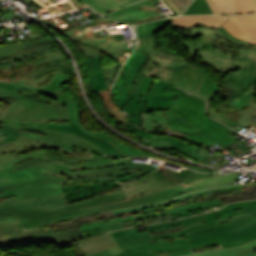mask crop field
Listing matches in <instances>:
<instances>
[{
	"label": "crop field",
	"instance_id": "48",
	"mask_svg": "<svg viewBox=\"0 0 256 256\" xmlns=\"http://www.w3.org/2000/svg\"><path fill=\"white\" fill-rule=\"evenodd\" d=\"M121 67H122V64H119V63H118L117 69H116V71H115V73H114V76H113V79H112L111 86L113 85L114 80H115V78H116L118 72L120 71Z\"/></svg>",
	"mask_w": 256,
	"mask_h": 256
},
{
	"label": "crop field",
	"instance_id": "42",
	"mask_svg": "<svg viewBox=\"0 0 256 256\" xmlns=\"http://www.w3.org/2000/svg\"><path fill=\"white\" fill-rule=\"evenodd\" d=\"M208 115L212 116L213 118L217 119L218 121L222 122L223 124L231 127L235 122L223 116L220 112H218L213 103H210Z\"/></svg>",
	"mask_w": 256,
	"mask_h": 256
},
{
	"label": "crop field",
	"instance_id": "35",
	"mask_svg": "<svg viewBox=\"0 0 256 256\" xmlns=\"http://www.w3.org/2000/svg\"><path fill=\"white\" fill-rule=\"evenodd\" d=\"M102 99H103V103L104 105L109 108L108 112L110 115L120 119L121 121L124 122H129V119L127 117V115L122 112L113 102V99L111 97V95L109 94V91L107 90H103V91H99L96 92Z\"/></svg>",
	"mask_w": 256,
	"mask_h": 256
},
{
	"label": "crop field",
	"instance_id": "41",
	"mask_svg": "<svg viewBox=\"0 0 256 256\" xmlns=\"http://www.w3.org/2000/svg\"><path fill=\"white\" fill-rule=\"evenodd\" d=\"M240 13L256 12V7L252 0H234Z\"/></svg>",
	"mask_w": 256,
	"mask_h": 256
},
{
	"label": "crop field",
	"instance_id": "13",
	"mask_svg": "<svg viewBox=\"0 0 256 256\" xmlns=\"http://www.w3.org/2000/svg\"><path fill=\"white\" fill-rule=\"evenodd\" d=\"M157 167V165L153 164L132 163V158H130L101 166L73 168L65 183L106 180L124 182L142 177L152 172Z\"/></svg>",
	"mask_w": 256,
	"mask_h": 256
},
{
	"label": "crop field",
	"instance_id": "26",
	"mask_svg": "<svg viewBox=\"0 0 256 256\" xmlns=\"http://www.w3.org/2000/svg\"><path fill=\"white\" fill-rule=\"evenodd\" d=\"M119 186L115 181L113 182H99V183H78V184H64L65 199H73L83 197L87 194L97 191L106 190L108 188Z\"/></svg>",
	"mask_w": 256,
	"mask_h": 256
},
{
	"label": "crop field",
	"instance_id": "36",
	"mask_svg": "<svg viewBox=\"0 0 256 256\" xmlns=\"http://www.w3.org/2000/svg\"><path fill=\"white\" fill-rule=\"evenodd\" d=\"M171 23V18L153 21L136 27L138 38H143Z\"/></svg>",
	"mask_w": 256,
	"mask_h": 256
},
{
	"label": "crop field",
	"instance_id": "44",
	"mask_svg": "<svg viewBox=\"0 0 256 256\" xmlns=\"http://www.w3.org/2000/svg\"><path fill=\"white\" fill-rule=\"evenodd\" d=\"M173 9L180 15L192 0H166ZM191 4V3H190Z\"/></svg>",
	"mask_w": 256,
	"mask_h": 256
},
{
	"label": "crop field",
	"instance_id": "8",
	"mask_svg": "<svg viewBox=\"0 0 256 256\" xmlns=\"http://www.w3.org/2000/svg\"><path fill=\"white\" fill-rule=\"evenodd\" d=\"M242 192V186H231V187H223L216 188L202 192L190 193L176 199L170 200L166 203L155 204V205H147L143 207L125 209L113 211V214L123 213L133 210L143 209L145 214L135 215V216H125L121 218H111L102 221H94L90 223L80 224L78 225L80 231L83 233L84 237L87 235L92 236L99 234V232L103 233L100 227L115 224V223H123L127 221L139 220L147 217H152L161 214H168L180 210H185L201 205H206L210 203L219 202L217 199L219 195H229V194H237Z\"/></svg>",
	"mask_w": 256,
	"mask_h": 256
},
{
	"label": "crop field",
	"instance_id": "25",
	"mask_svg": "<svg viewBox=\"0 0 256 256\" xmlns=\"http://www.w3.org/2000/svg\"><path fill=\"white\" fill-rule=\"evenodd\" d=\"M228 18V16H181L172 18L171 26L184 28L206 26L217 29Z\"/></svg>",
	"mask_w": 256,
	"mask_h": 256
},
{
	"label": "crop field",
	"instance_id": "39",
	"mask_svg": "<svg viewBox=\"0 0 256 256\" xmlns=\"http://www.w3.org/2000/svg\"><path fill=\"white\" fill-rule=\"evenodd\" d=\"M220 14H239L233 0H213Z\"/></svg>",
	"mask_w": 256,
	"mask_h": 256
},
{
	"label": "crop field",
	"instance_id": "32",
	"mask_svg": "<svg viewBox=\"0 0 256 256\" xmlns=\"http://www.w3.org/2000/svg\"><path fill=\"white\" fill-rule=\"evenodd\" d=\"M191 256H256V241L242 247L199 253Z\"/></svg>",
	"mask_w": 256,
	"mask_h": 256
},
{
	"label": "crop field",
	"instance_id": "38",
	"mask_svg": "<svg viewBox=\"0 0 256 256\" xmlns=\"http://www.w3.org/2000/svg\"><path fill=\"white\" fill-rule=\"evenodd\" d=\"M213 14L206 0H194L191 6L181 15Z\"/></svg>",
	"mask_w": 256,
	"mask_h": 256
},
{
	"label": "crop field",
	"instance_id": "17",
	"mask_svg": "<svg viewBox=\"0 0 256 256\" xmlns=\"http://www.w3.org/2000/svg\"><path fill=\"white\" fill-rule=\"evenodd\" d=\"M113 23V21L105 20V19H97L95 21L89 22L84 24L80 27L67 31L63 34L67 35L68 37L80 41L83 44H87L96 48H100L105 51L108 55L112 58L117 60L118 62H123L126 58L122 56L124 52V47L122 42L108 39V38H97L94 37V34L89 30L90 27L99 25V24H109Z\"/></svg>",
	"mask_w": 256,
	"mask_h": 256
},
{
	"label": "crop field",
	"instance_id": "20",
	"mask_svg": "<svg viewBox=\"0 0 256 256\" xmlns=\"http://www.w3.org/2000/svg\"><path fill=\"white\" fill-rule=\"evenodd\" d=\"M20 135L58 144L72 151L103 154V152L99 148H97L95 145L91 144L90 142L82 138H79L77 136H72L71 134H67V133L48 131L47 136H44V135L21 131Z\"/></svg>",
	"mask_w": 256,
	"mask_h": 256
},
{
	"label": "crop field",
	"instance_id": "49",
	"mask_svg": "<svg viewBox=\"0 0 256 256\" xmlns=\"http://www.w3.org/2000/svg\"><path fill=\"white\" fill-rule=\"evenodd\" d=\"M207 1L209 2L212 10L214 11V14H219L217 9H216V7H215V5H214V3H213V1L212 0H207Z\"/></svg>",
	"mask_w": 256,
	"mask_h": 256
},
{
	"label": "crop field",
	"instance_id": "53",
	"mask_svg": "<svg viewBox=\"0 0 256 256\" xmlns=\"http://www.w3.org/2000/svg\"><path fill=\"white\" fill-rule=\"evenodd\" d=\"M252 113H253L254 116L256 115V111H253Z\"/></svg>",
	"mask_w": 256,
	"mask_h": 256
},
{
	"label": "crop field",
	"instance_id": "6",
	"mask_svg": "<svg viewBox=\"0 0 256 256\" xmlns=\"http://www.w3.org/2000/svg\"><path fill=\"white\" fill-rule=\"evenodd\" d=\"M123 191L66 205L64 196L0 203V216L19 215L23 227L80 214V209L127 200Z\"/></svg>",
	"mask_w": 256,
	"mask_h": 256
},
{
	"label": "crop field",
	"instance_id": "10",
	"mask_svg": "<svg viewBox=\"0 0 256 256\" xmlns=\"http://www.w3.org/2000/svg\"><path fill=\"white\" fill-rule=\"evenodd\" d=\"M236 177L237 174H201L196 171H190L188 169L176 172L167 168L160 167L158 171L149 174L142 179L127 182L121 185L128 198L132 199L146 193L173 185L176 187L182 185L185 189L200 184Z\"/></svg>",
	"mask_w": 256,
	"mask_h": 256
},
{
	"label": "crop field",
	"instance_id": "40",
	"mask_svg": "<svg viewBox=\"0 0 256 256\" xmlns=\"http://www.w3.org/2000/svg\"><path fill=\"white\" fill-rule=\"evenodd\" d=\"M220 204H222V202L210 204V205H206V206H201V207H197V208H193V209H189V210H185V211L176 212V213H173L172 215H173L174 219L191 216V215H196V214H200V213L204 212L202 208L216 206V205H220Z\"/></svg>",
	"mask_w": 256,
	"mask_h": 256
},
{
	"label": "crop field",
	"instance_id": "50",
	"mask_svg": "<svg viewBox=\"0 0 256 256\" xmlns=\"http://www.w3.org/2000/svg\"><path fill=\"white\" fill-rule=\"evenodd\" d=\"M225 133H227V134H229V135H231V136H232V135H233V134H235L236 132H234V131H232V130H230V129H229V130H228V131H226Z\"/></svg>",
	"mask_w": 256,
	"mask_h": 256
},
{
	"label": "crop field",
	"instance_id": "28",
	"mask_svg": "<svg viewBox=\"0 0 256 256\" xmlns=\"http://www.w3.org/2000/svg\"><path fill=\"white\" fill-rule=\"evenodd\" d=\"M102 57H94L87 61L85 72L88 75V84L91 91L107 89L103 68L100 65Z\"/></svg>",
	"mask_w": 256,
	"mask_h": 256
},
{
	"label": "crop field",
	"instance_id": "16",
	"mask_svg": "<svg viewBox=\"0 0 256 256\" xmlns=\"http://www.w3.org/2000/svg\"><path fill=\"white\" fill-rule=\"evenodd\" d=\"M137 50L151 58L142 74L164 81L172 75L171 66L176 59L187 62L186 58L180 57L166 44L157 48L156 39L152 35L140 39Z\"/></svg>",
	"mask_w": 256,
	"mask_h": 256
},
{
	"label": "crop field",
	"instance_id": "19",
	"mask_svg": "<svg viewBox=\"0 0 256 256\" xmlns=\"http://www.w3.org/2000/svg\"><path fill=\"white\" fill-rule=\"evenodd\" d=\"M157 11L159 9L150 0H142L119 10L106 13L103 16L125 23L135 21L136 25H138L160 18Z\"/></svg>",
	"mask_w": 256,
	"mask_h": 256
},
{
	"label": "crop field",
	"instance_id": "51",
	"mask_svg": "<svg viewBox=\"0 0 256 256\" xmlns=\"http://www.w3.org/2000/svg\"><path fill=\"white\" fill-rule=\"evenodd\" d=\"M188 168H191V167H188ZM191 169L198 170V171L210 172V170H206V169H196V168H191Z\"/></svg>",
	"mask_w": 256,
	"mask_h": 256
},
{
	"label": "crop field",
	"instance_id": "31",
	"mask_svg": "<svg viewBox=\"0 0 256 256\" xmlns=\"http://www.w3.org/2000/svg\"><path fill=\"white\" fill-rule=\"evenodd\" d=\"M190 65L198 69L203 76V84L200 87V89L197 91L196 95H199L208 100H211L213 97L217 95L222 83H218L217 80L213 78L212 75L209 74L205 70V68L202 67L201 65H196L191 63Z\"/></svg>",
	"mask_w": 256,
	"mask_h": 256
},
{
	"label": "crop field",
	"instance_id": "30",
	"mask_svg": "<svg viewBox=\"0 0 256 256\" xmlns=\"http://www.w3.org/2000/svg\"><path fill=\"white\" fill-rule=\"evenodd\" d=\"M39 233H41L39 228L29 231H23L21 222L16 216L0 218V236L12 237Z\"/></svg>",
	"mask_w": 256,
	"mask_h": 256
},
{
	"label": "crop field",
	"instance_id": "46",
	"mask_svg": "<svg viewBox=\"0 0 256 256\" xmlns=\"http://www.w3.org/2000/svg\"><path fill=\"white\" fill-rule=\"evenodd\" d=\"M172 241H173V243H171L170 241L151 242V245H170V244H176V243L189 242L188 238L177 239V240H172Z\"/></svg>",
	"mask_w": 256,
	"mask_h": 256
},
{
	"label": "crop field",
	"instance_id": "12",
	"mask_svg": "<svg viewBox=\"0 0 256 256\" xmlns=\"http://www.w3.org/2000/svg\"><path fill=\"white\" fill-rule=\"evenodd\" d=\"M186 92L157 79L144 76L138 93L127 110L131 122L142 128L140 111L163 110L173 106L174 95Z\"/></svg>",
	"mask_w": 256,
	"mask_h": 256
},
{
	"label": "crop field",
	"instance_id": "54",
	"mask_svg": "<svg viewBox=\"0 0 256 256\" xmlns=\"http://www.w3.org/2000/svg\"><path fill=\"white\" fill-rule=\"evenodd\" d=\"M165 1V0H164ZM166 2V1H165ZM167 3V2H166ZM168 4V3H167ZM169 5V4H168ZM170 6V5H169ZM171 7V6H170ZM172 10V9H171ZM174 11V10H173ZM175 12V11H174ZM176 13V12H175ZM176 15H178L177 13H176Z\"/></svg>",
	"mask_w": 256,
	"mask_h": 256
},
{
	"label": "crop field",
	"instance_id": "27",
	"mask_svg": "<svg viewBox=\"0 0 256 256\" xmlns=\"http://www.w3.org/2000/svg\"><path fill=\"white\" fill-rule=\"evenodd\" d=\"M141 115L143 128L148 131L155 133H165L179 137L186 136L185 134L165 125L164 123L168 122V120L160 111H156V113L150 115L141 113Z\"/></svg>",
	"mask_w": 256,
	"mask_h": 256
},
{
	"label": "crop field",
	"instance_id": "55",
	"mask_svg": "<svg viewBox=\"0 0 256 256\" xmlns=\"http://www.w3.org/2000/svg\"><path fill=\"white\" fill-rule=\"evenodd\" d=\"M254 2H255V4H256V0H255Z\"/></svg>",
	"mask_w": 256,
	"mask_h": 256
},
{
	"label": "crop field",
	"instance_id": "1",
	"mask_svg": "<svg viewBox=\"0 0 256 256\" xmlns=\"http://www.w3.org/2000/svg\"><path fill=\"white\" fill-rule=\"evenodd\" d=\"M35 67L27 72L20 73V83L0 82V120L6 109L13 105L18 98L2 96L3 92L12 93L15 86L35 90L41 95H48L59 100L70 115V124L49 123L48 128L72 131L100 143L109 154L125 158L131 156H149L134 148L119 142L105 131L91 132L81 123V107L61 85L70 82L74 77L73 66L70 61L55 47L27 57ZM12 125H0V145L16 140L10 136ZM157 158V157H154ZM159 159V158H157Z\"/></svg>",
	"mask_w": 256,
	"mask_h": 256
},
{
	"label": "crop field",
	"instance_id": "18",
	"mask_svg": "<svg viewBox=\"0 0 256 256\" xmlns=\"http://www.w3.org/2000/svg\"><path fill=\"white\" fill-rule=\"evenodd\" d=\"M122 130L134 132V136H136L141 141H143L149 145L166 147L169 149H176V150L192 157L194 160H198L203 163H207V161H208V157L206 156L204 158L200 154H198L197 152L200 149L191 145L189 142L179 140L175 137L150 134V133H147V132L133 126L131 123L126 124V123L122 122Z\"/></svg>",
	"mask_w": 256,
	"mask_h": 256
},
{
	"label": "crop field",
	"instance_id": "24",
	"mask_svg": "<svg viewBox=\"0 0 256 256\" xmlns=\"http://www.w3.org/2000/svg\"><path fill=\"white\" fill-rule=\"evenodd\" d=\"M222 26L235 37L256 44V14L230 16Z\"/></svg>",
	"mask_w": 256,
	"mask_h": 256
},
{
	"label": "crop field",
	"instance_id": "2",
	"mask_svg": "<svg viewBox=\"0 0 256 256\" xmlns=\"http://www.w3.org/2000/svg\"><path fill=\"white\" fill-rule=\"evenodd\" d=\"M239 206V208H237ZM205 222L182 231L149 236L137 228L114 231L118 243L150 238L151 241L189 237L190 244L222 238L221 248L243 245L256 239V200L228 204L216 212L202 215Z\"/></svg>",
	"mask_w": 256,
	"mask_h": 256
},
{
	"label": "crop field",
	"instance_id": "43",
	"mask_svg": "<svg viewBox=\"0 0 256 256\" xmlns=\"http://www.w3.org/2000/svg\"><path fill=\"white\" fill-rule=\"evenodd\" d=\"M181 224L179 220L176 221H171V222H165V223H160V224H155V225H150V226H145L147 231H156V230H162V229H168V228H174V227H180Z\"/></svg>",
	"mask_w": 256,
	"mask_h": 256
},
{
	"label": "crop field",
	"instance_id": "3",
	"mask_svg": "<svg viewBox=\"0 0 256 256\" xmlns=\"http://www.w3.org/2000/svg\"><path fill=\"white\" fill-rule=\"evenodd\" d=\"M71 168L45 160H30L0 169V196L10 201L63 195L61 188ZM6 192V193H4Z\"/></svg>",
	"mask_w": 256,
	"mask_h": 256
},
{
	"label": "crop field",
	"instance_id": "34",
	"mask_svg": "<svg viewBox=\"0 0 256 256\" xmlns=\"http://www.w3.org/2000/svg\"><path fill=\"white\" fill-rule=\"evenodd\" d=\"M46 157L50 158L52 160H55V161L62 162V163L71 164V165H80L81 166V163L103 159L107 156H99V157H94V158L83 160L81 157L80 158L71 157V156H67L65 154H62L58 151H55V150H48Z\"/></svg>",
	"mask_w": 256,
	"mask_h": 256
},
{
	"label": "crop field",
	"instance_id": "52",
	"mask_svg": "<svg viewBox=\"0 0 256 256\" xmlns=\"http://www.w3.org/2000/svg\"><path fill=\"white\" fill-rule=\"evenodd\" d=\"M231 128L235 129V130L238 131V132L242 129L241 127H236V126H233V127H231Z\"/></svg>",
	"mask_w": 256,
	"mask_h": 256
},
{
	"label": "crop field",
	"instance_id": "37",
	"mask_svg": "<svg viewBox=\"0 0 256 256\" xmlns=\"http://www.w3.org/2000/svg\"><path fill=\"white\" fill-rule=\"evenodd\" d=\"M92 9H94L99 14H104L108 11L120 7L114 0H82Z\"/></svg>",
	"mask_w": 256,
	"mask_h": 256
},
{
	"label": "crop field",
	"instance_id": "47",
	"mask_svg": "<svg viewBox=\"0 0 256 256\" xmlns=\"http://www.w3.org/2000/svg\"><path fill=\"white\" fill-rule=\"evenodd\" d=\"M119 5L123 6V5H126V4H129V3H132V2H135V1H138V0H116Z\"/></svg>",
	"mask_w": 256,
	"mask_h": 256
},
{
	"label": "crop field",
	"instance_id": "22",
	"mask_svg": "<svg viewBox=\"0 0 256 256\" xmlns=\"http://www.w3.org/2000/svg\"><path fill=\"white\" fill-rule=\"evenodd\" d=\"M53 46L49 37L22 43L2 45L0 46V63L23 59Z\"/></svg>",
	"mask_w": 256,
	"mask_h": 256
},
{
	"label": "crop field",
	"instance_id": "5",
	"mask_svg": "<svg viewBox=\"0 0 256 256\" xmlns=\"http://www.w3.org/2000/svg\"><path fill=\"white\" fill-rule=\"evenodd\" d=\"M3 95L22 98L13 106L7 109L6 114L2 118L0 123L13 124V132L11 134V137H14L16 139L21 138L19 137L20 130L46 135L47 130H52L47 129L48 119H68L67 110L59 101H51L47 98L33 93L30 90L16 87L13 94L4 93ZM67 133L77 135L72 132ZM84 139L95 144L97 147L102 149L105 154H108L101 145L87 138Z\"/></svg>",
	"mask_w": 256,
	"mask_h": 256
},
{
	"label": "crop field",
	"instance_id": "9",
	"mask_svg": "<svg viewBox=\"0 0 256 256\" xmlns=\"http://www.w3.org/2000/svg\"><path fill=\"white\" fill-rule=\"evenodd\" d=\"M80 243L85 256H178L191 253L189 243L171 246H150V240L118 244L111 232L89 237Z\"/></svg>",
	"mask_w": 256,
	"mask_h": 256
},
{
	"label": "crop field",
	"instance_id": "4",
	"mask_svg": "<svg viewBox=\"0 0 256 256\" xmlns=\"http://www.w3.org/2000/svg\"><path fill=\"white\" fill-rule=\"evenodd\" d=\"M175 98V105L161 112L170 121L167 125L189 135L183 137L184 139L200 146L204 144L207 148H211L214 143L226 147L236 141L224 133L229 128L205 114V100L190 94L178 95Z\"/></svg>",
	"mask_w": 256,
	"mask_h": 256
},
{
	"label": "crop field",
	"instance_id": "14",
	"mask_svg": "<svg viewBox=\"0 0 256 256\" xmlns=\"http://www.w3.org/2000/svg\"><path fill=\"white\" fill-rule=\"evenodd\" d=\"M134 52V51H133ZM150 58L136 51L124 64L118 79L111 90L117 103L125 112L132 100L133 92H137L143 75H140Z\"/></svg>",
	"mask_w": 256,
	"mask_h": 256
},
{
	"label": "crop field",
	"instance_id": "29",
	"mask_svg": "<svg viewBox=\"0 0 256 256\" xmlns=\"http://www.w3.org/2000/svg\"><path fill=\"white\" fill-rule=\"evenodd\" d=\"M237 101L227 100L226 104L228 105V110L225 112V116L236 121V126L249 127L253 122V115L251 111L256 110V101L253 102L245 109L238 110L234 105Z\"/></svg>",
	"mask_w": 256,
	"mask_h": 256
},
{
	"label": "crop field",
	"instance_id": "21",
	"mask_svg": "<svg viewBox=\"0 0 256 256\" xmlns=\"http://www.w3.org/2000/svg\"><path fill=\"white\" fill-rule=\"evenodd\" d=\"M40 148L55 149L67 155L77 156V157L82 156L83 159L97 156V155L78 154L55 145L45 144L39 141L21 138L19 140L13 141L6 145L0 146V163L5 162L15 156L27 153L32 150L40 149Z\"/></svg>",
	"mask_w": 256,
	"mask_h": 256
},
{
	"label": "crop field",
	"instance_id": "45",
	"mask_svg": "<svg viewBox=\"0 0 256 256\" xmlns=\"http://www.w3.org/2000/svg\"><path fill=\"white\" fill-rule=\"evenodd\" d=\"M78 46L83 51V53L86 54L87 59L94 57V56H102L101 51H99L97 49L87 48V47H83L81 45H78Z\"/></svg>",
	"mask_w": 256,
	"mask_h": 256
},
{
	"label": "crop field",
	"instance_id": "23",
	"mask_svg": "<svg viewBox=\"0 0 256 256\" xmlns=\"http://www.w3.org/2000/svg\"><path fill=\"white\" fill-rule=\"evenodd\" d=\"M172 68L173 75L167 82L192 94L196 93L202 84V76L200 72L189 66V63H184L178 60H176Z\"/></svg>",
	"mask_w": 256,
	"mask_h": 256
},
{
	"label": "crop field",
	"instance_id": "15",
	"mask_svg": "<svg viewBox=\"0 0 256 256\" xmlns=\"http://www.w3.org/2000/svg\"><path fill=\"white\" fill-rule=\"evenodd\" d=\"M233 182H234V180L230 179V180H224V181H220V182L200 185V186L192 187V188L185 189V190H183L181 186L178 188L173 186V187L165 188L162 190H158V191L146 194L144 196H141V197H138V198H135L132 200H127V201H123V202H119V203H113V204H109V205H103V206H97V207L84 209V210H82V212L84 214H81V215H87V214H93V213H98V212L111 211V210H115V209H119V208L134 207V206L162 202V201H166L171 198H175V197L184 195V194L192 192V191H196V190H200V189H208V188L218 187V186L230 185V184H233ZM81 215L68 217V218H62V219L51 221L49 223L64 220V219L74 218V217H78ZM49 223H45L41 226H44ZM37 227H40V226H37ZM31 228H36V227H30V228H25V229H31Z\"/></svg>",
	"mask_w": 256,
	"mask_h": 256
},
{
	"label": "crop field",
	"instance_id": "7",
	"mask_svg": "<svg viewBox=\"0 0 256 256\" xmlns=\"http://www.w3.org/2000/svg\"><path fill=\"white\" fill-rule=\"evenodd\" d=\"M198 35H200L201 41L191 42L182 40L185 50L191 56H194L198 50L199 58L219 72H226L232 68L240 69L249 63L232 60V53L224 51L219 46L226 43L230 47L256 49V45L248 44V42L235 38L222 26L218 30L205 27H194L185 30L186 37Z\"/></svg>",
	"mask_w": 256,
	"mask_h": 256
},
{
	"label": "crop field",
	"instance_id": "33",
	"mask_svg": "<svg viewBox=\"0 0 256 256\" xmlns=\"http://www.w3.org/2000/svg\"><path fill=\"white\" fill-rule=\"evenodd\" d=\"M46 150L47 149H40V150L32 151L30 153L15 157L5 163L0 164V168L1 169L8 168L12 165L22 163V162H24L26 160H30V159H45V160L52 161L50 159L45 158ZM53 162H55V161H53ZM56 163H59V162H56ZM59 164H62V163H59ZM63 165H66V164H63ZM67 166H71V165H67ZM71 167H80V166H71Z\"/></svg>",
	"mask_w": 256,
	"mask_h": 256
},
{
	"label": "crop field",
	"instance_id": "11",
	"mask_svg": "<svg viewBox=\"0 0 256 256\" xmlns=\"http://www.w3.org/2000/svg\"><path fill=\"white\" fill-rule=\"evenodd\" d=\"M221 48L229 52L239 51L236 57H232L234 60L251 61L239 73H231L225 78L218 93L239 101L235 105L238 109L244 108L256 97V50L230 48L226 44Z\"/></svg>",
	"mask_w": 256,
	"mask_h": 256
}]
</instances>
